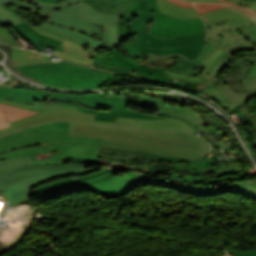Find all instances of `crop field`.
<instances>
[{"mask_svg":"<svg viewBox=\"0 0 256 256\" xmlns=\"http://www.w3.org/2000/svg\"><path fill=\"white\" fill-rule=\"evenodd\" d=\"M1 6H3L5 9H7L8 11H10L12 14H14L15 16H17L18 18H20L22 21H27L24 17H22L19 13H17L16 11L12 10L11 8H9L8 6H6L5 4H2Z\"/></svg>","mask_w":256,"mask_h":256,"instance_id":"59","label":"crop field"},{"mask_svg":"<svg viewBox=\"0 0 256 256\" xmlns=\"http://www.w3.org/2000/svg\"><path fill=\"white\" fill-rule=\"evenodd\" d=\"M177 58L180 61L181 65L185 67H190V68L201 67V61H188L187 59L181 56H177Z\"/></svg>","mask_w":256,"mask_h":256,"instance_id":"51","label":"crop field"},{"mask_svg":"<svg viewBox=\"0 0 256 256\" xmlns=\"http://www.w3.org/2000/svg\"><path fill=\"white\" fill-rule=\"evenodd\" d=\"M241 85L243 86L241 91H256V78L242 80Z\"/></svg>","mask_w":256,"mask_h":256,"instance_id":"49","label":"crop field"},{"mask_svg":"<svg viewBox=\"0 0 256 256\" xmlns=\"http://www.w3.org/2000/svg\"><path fill=\"white\" fill-rule=\"evenodd\" d=\"M234 113H235L236 117H238V118L241 117L242 119H244L248 122H251V120L247 119L246 116L241 112L240 108L235 109Z\"/></svg>","mask_w":256,"mask_h":256,"instance_id":"60","label":"crop field"},{"mask_svg":"<svg viewBox=\"0 0 256 256\" xmlns=\"http://www.w3.org/2000/svg\"><path fill=\"white\" fill-rule=\"evenodd\" d=\"M142 173H147L154 176L156 175V172H152V171H143Z\"/></svg>","mask_w":256,"mask_h":256,"instance_id":"66","label":"crop field"},{"mask_svg":"<svg viewBox=\"0 0 256 256\" xmlns=\"http://www.w3.org/2000/svg\"><path fill=\"white\" fill-rule=\"evenodd\" d=\"M228 251H230L235 256H256V251L246 252V253L239 252V251H234V250H230V249Z\"/></svg>","mask_w":256,"mask_h":256,"instance_id":"57","label":"crop field"},{"mask_svg":"<svg viewBox=\"0 0 256 256\" xmlns=\"http://www.w3.org/2000/svg\"><path fill=\"white\" fill-rule=\"evenodd\" d=\"M139 65L144 66V67H147V68L152 69V70H154V71H156V72H158V73H160V74L165 75V74L163 73L164 69H162V68L153 67V66H149V65H145V64H141V63H139ZM165 76H167V75H165ZM168 77H170V76H168ZM171 78H172V77H171Z\"/></svg>","mask_w":256,"mask_h":256,"instance_id":"58","label":"crop field"},{"mask_svg":"<svg viewBox=\"0 0 256 256\" xmlns=\"http://www.w3.org/2000/svg\"><path fill=\"white\" fill-rule=\"evenodd\" d=\"M115 122L130 123L129 127L133 128L162 130L186 129L193 132L189 125L178 119L138 113L122 107L119 108Z\"/></svg>","mask_w":256,"mask_h":256,"instance_id":"14","label":"crop field"},{"mask_svg":"<svg viewBox=\"0 0 256 256\" xmlns=\"http://www.w3.org/2000/svg\"><path fill=\"white\" fill-rule=\"evenodd\" d=\"M224 256H232V255L227 252Z\"/></svg>","mask_w":256,"mask_h":256,"instance_id":"67","label":"crop field"},{"mask_svg":"<svg viewBox=\"0 0 256 256\" xmlns=\"http://www.w3.org/2000/svg\"><path fill=\"white\" fill-rule=\"evenodd\" d=\"M183 1H192V2H219L217 0H183Z\"/></svg>","mask_w":256,"mask_h":256,"instance_id":"63","label":"crop field"},{"mask_svg":"<svg viewBox=\"0 0 256 256\" xmlns=\"http://www.w3.org/2000/svg\"><path fill=\"white\" fill-rule=\"evenodd\" d=\"M127 75L133 76V77H137V78H141V79H145V80H149V79H147V78H145V77H143V76H141L139 74L133 73L131 71ZM149 81H152V80H149ZM153 82H155V81H153Z\"/></svg>","mask_w":256,"mask_h":256,"instance_id":"62","label":"crop field"},{"mask_svg":"<svg viewBox=\"0 0 256 256\" xmlns=\"http://www.w3.org/2000/svg\"><path fill=\"white\" fill-rule=\"evenodd\" d=\"M48 94V91L32 92L0 87V98L9 99L26 104H33L34 100L46 102Z\"/></svg>","mask_w":256,"mask_h":256,"instance_id":"24","label":"crop field"},{"mask_svg":"<svg viewBox=\"0 0 256 256\" xmlns=\"http://www.w3.org/2000/svg\"><path fill=\"white\" fill-rule=\"evenodd\" d=\"M100 148L101 147L54 143L23 147L5 152L0 154V159L22 156H31V160L56 158L99 159Z\"/></svg>","mask_w":256,"mask_h":256,"instance_id":"10","label":"crop field"},{"mask_svg":"<svg viewBox=\"0 0 256 256\" xmlns=\"http://www.w3.org/2000/svg\"><path fill=\"white\" fill-rule=\"evenodd\" d=\"M252 122H253V124H254V130H255V132H256V118L253 119ZM255 146H256V145H253V146L250 148V150H251L252 148H254Z\"/></svg>","mask_w":256,"mask_h":256,"instance_id":"64","label":"crop field"},{"mask_svg":"<svg viewBox=\"0 0 256 256\" xmlns=\"http://www.w3.org/2000/svg\"><path fill=\"white\" fill-rule=\"evenodd\" d=\"M48 99L70 103H80L86 107H92L101 110H109L111 105L127 107L128 104V100L98 93L84 96H76L70 94H60L51 92Z\"/></svg>","mask_w":256,"mask_h":256,"instance_id":"18","label":"crop field"},{"mask_svg":"<svg viewBox=\"0 0 256 256\" xmlns=\"http://www.w3.org/2000/svg\"><path fill=\"white\" fill-rule=\"evenodd\" d=\"M250 68L247 67H242L241 71H243L241 78H234V77H229L227 83H229L231 89H233L235 92L239 93L242 86L240 85L241 79H245L247 76L248 71ZM226 83V84H227Z\"/></svg>","mask_w":256,"mask_h":256,"instance_id":"43","label":"crop field"},{"mask_svg":"<svg viewBox=\"0 0 256 256\" xmlns=\"http://www.w3.org/2000/svg\"><path fill=\"white\" fill-rule=\"evenodd\" d=\"M177 55L169 56L166 58H161V59H143L141 63L149 64V65H154L162 68H169L172 65L178 63V60L176 58Z\"/></svg>","mask_w":256,"mask_h":256,"instance_id":"39","label":"crop field"},{"mask_svg":"<svg viewBox=\"0 0 256 256\" xmlns=\"http://www.w3.org/2000/svg\"><path fill=\"white\" fill-rule=\"evenodd\" d=\"M237 123V122H236ZM240 123H237V129L239 130L240 132V135L242 136L243 140L245 141V143L247 144L248 148L251 147L252 144H250L248 142V139L250 138V135L247 134L244 130L240 129Z\"/></svg>","mask_w":256,"mask_h":256,"instance_id":"55","label":"crop field"},{"mask_svg":"<svg viewBox=\"0 0 256 256\" xmlns=\"http://www.w3.org/2000/svg\"><path fill=\"white\" fill-rule=\"evenodd\" d=\"M119 107H111L110 111L97 110L95 120L114 122Z\"/></svg>","mask_w":256,"mask_h":256,"instance_id":"42","label":"crop field"},{"mask_svg":"<svg viewBox=\"0 0 256 256\" xmlns=\"http://www.w3.org/2000/svg\"><path fill=\"white\" fill-rule=\"evenodd\" d=\"M124 49L127 51L129 54L133 56H140V57H146L144 56L143 53L139 52L132 44L131 42L124 43Z\"/></svg>","mask_w":256,"mask_h":256,"instance_id":"52","label":"crop field"},{"mask_svg":"<svg viewBox=\"0 0 256 256\" xmlns=\"http://www.w3.org/2000/svg\"><path fill=\"white\" fill-rule=\"evenodd\" d=\"M181 88H185V89L197 91V92H200V93H203V94H204L203 90H196V89H193V88H186V87H181Z\"/></svg>","mask_w":256,"mask_h":256,"instance_id":"65","label":"crop field"},{"mask_svg":"<svg viewBox=\"0 0 256 256\" xmlns=\"http://www.w3.org/2000/svg\"><path fill=\"white\" fill-rule=\"evenodd\" d=\"M241 176V175H240ZM240 176H238V177H240Z\"/></svg>","mask_w":256,"mask_h":256,"instance_id":"68","label":"crop field"},{"mask_svg":"<svg viewBox=\"0 0 256 256\" xmlns=\"http://www.w3.org/2000/svg\"><path fill=\"white\" fill-rule=\"evenodd\" d=\"M249 58H251L253 61H256V51L237 53L230 58L226 66H229L234 60L241 61Z\"/></svg>","mask_w":256,"mask_h":256,"instance_id":"45","label":"crop field"},{"mask_svg":"<svg viewBox=\"0 0 256 256\" xmlns=\"http://www.w3.org/2000/svg\"><path fill=\"white\" fill-rule=\"evenodd\" d=\"M176 4H179L181 6H188V7H194V5L192 3H185L183 1H179V0H170Z\"/></svg>","mask_w":256,"mask_h":256,"instance_id":"61","label":"crop field"},{"mask_svg":"<svg viewBox=\"0 0 256 256\" xmlns=\"http://www.w3.org/2000/svg\"><path fill=\"white\" fill-rule=\"evenodd\" d=\"M145 184H157V185L173 188L176 190H180L183 192H187L194 195H200V196L216 195V194L225 192V188L213 190L212 185L202 186V185L183 184V183L164 180L160 178H150L138 186L145 185Z\"/></svg>","mask_w":256,"mask_h":256,"instance_id":"21","label":"crop field"},{"mask_svg":"<svg viewBox=\"0 0 256 256\" xmlns=\"http://www.w3.org/2000/svg\"><path fill=\"white\" fill-rule=\"evenodd\" d=\"M137 157H143L145 159H163L167 161H183V160H189V159H180V158H174V157H164V156H158V155H151V154H145L142 153L141 156Z\"/></svg>","mask_w":256,"mask_h":256,"instance_id":"50","label":"crop field"},{"mask_svg":"<svg viewBox=\"0 0 256 256\" xmlns=\"http://www.w3.org/2000/svg\"><path fill=\"white\" fill-rule=\"evenodd\" d=\"M20 23L23 22L0 6V25L10 26Z\"/></svg>","mask_w":256,"mask_h":256,"instance_id":"40","label":"crop field"},{"mask_svg":"<svg viewBox=\"0 0 256 256\" xmlns=\"http://www.w3.org/2000/svg\"><path fill=\"white\" fill-rule=\"evenodd\" d=\"M120 17V14L96 12L86 2H76L65 9L52 10L47 21L99 37L101 35L100 28L93 23L115 24Z\"/></svg>","mask_w":256,"mask_h":256,"instance_id":"7","label":"crop field"},{"mask_svg":"<svg viewBox=\"0 0 256 256\" xmlns=\"http://www.w3.org/2000/svg\"><path fill=\"white\" fill-rule=\"evenodd\" d=\"M0 103L40 112L38 114L31 115V116L10 122L9 124L11 126L0 129V136L28 127V126L40 124V123L51 121V120H71V121H77V122L115 125V126H124V127H128L129 125V124L94 121L96 116L95 114H86V113L76 112L72 110L45 108V107H39L35 105H26V104L17 103V102L8 101V100H2V99H0Z\"/></svg>","mask_w":256,"mask_h":256,"instance_id":"9","label":"crop field"},{"mask_svg":"<svg viewBox=\"0 0 256 256\" xmlns=\"http://www.w3.org/2000/svg\"><path fill=\"white\" fill-rule=\"evenodd\" d=\"M222 1L223 3L227 4V5H230L238 10H240L241 12L245 13L246 15H248L249 17L253 18L254 20H256V11L249 8V7H242V6H239V5H236L230 1H227V0H220Z\"/></svg>","mask_w":256,"mask_h":256,"instance_id":"48","label":"crop field"},{"mask_svg":"<svg viewBox=\"0 0 256 256\" xmlns=\"http://www.w3.org/2000/svg\"><path fill=\"white\" fill-rule=\"evenodd\" d=\"M168 70H171L175 73L185 74V75H200L201 73V68L189 69V68L182 67L179 63L169 68Z\"/></svg>","mask_w":256,"mask_h":256,"instance_id":"44","label":"crop field"},{"mask_svg":"<svg viewBox=\"0 0 256 256\" xmlns=\"http://www.w3.org/2000/svg\"><path fill=\"white\" fill-rule=\"evenodd\" d=\"M32 164H62L64 165V160H43V161H31Z\"/></svg>","mask_w":256,"mask_h":256,"instance_id":"56","label":"crop field"},{"mask_svg":"<svg viewBox=\"0 0 256 256\" xmlns=\"http://www.w3.org/2000/svg\"><path fill=\"white\" fill-rule=\"evenodd\" d=\"M205 93L208 94L218 105L226 112L233 113L236 107H240L242 112L251 120L255 117L248 105L247 101L250 97L256 96V92H241L236 94L232 91L229 85L209 86L205 88ZM228 107L230 110H228Z\"/></svg>","mask_w":256,"mask_h":256,"instance_id":"15","label":"crop field"},{"mask_svg":"<svg viewBox=\"0 0 256 256\" xmlns=\"http://www.w3.org/2000/svg\"><path fill=\"white\" fill-rule=\"evenodd\" d=\"M70 122H49L0 138V153L23 146L53 142L101 146L103 139L67 136Z\"/></svg>","mask_w":256,"mask_h":256,"instance_id":"6","label":"crop field"},{"mask_svg":"<svg viewBox=\"0 0 256 256\" xmlns=\"http://www.w3.org/2000/svg\"><path fill=\"white\" fill-rule=\"evenodd\" d=\"M154 13L153 22L160 21L169 16L179 19L199 17L195 8L180 7L169 0H145Z\"/></svg>","mask_w":256,"mask_h":256,"instance_id":"19","label":"crop field"},{"mask_svg":"<svg viewBox=\"0 0 256 256\" xmlns=\"http://www.w3.org/2000/svg\"><path fill=\"white\" fill-rule=\"evenodd\" d=\"M242 6H250L256 10V1H245V0H230Z\"/></svg>","mask_w":256,"mask_h":256,"instance_id":"54","label":"crop field"},{"mask_svg":"<svg viewBox=\"0 0 256 256\" xmlns=\"http://www.w3.org/2000/svg\"><path fill=\"white\" fill-rule=\"evenodd\" d=\"M253 61L245 60L241 62L234 61L229 67L226 68L225 71L222 72L221 76H219L213 85L225 84L228 76L240 77L242 72H239L242 66L251 67L253 65Z\"/></svg>","mask_w":256,"mask_h":256,"instance_id":"29","label":"crop field"},{"mask_svg":"<svg viewBox=\"0 0 256 256\" xmlns=\"http://www.w3.org/2000/svg\"><path fill=\"white\" fill-rule=\"evenodd\" d=\"M0 42L21 47L12 34L4 28H0Z\"/></svg>","mask_w":256,"mask_h":256,"instance_id":"46","label":"crop field"},{"mask_svg":"<svg viewBox=\"0 0 256 256\" xmlns=\"http://www.w3.org/2000/svg\"><path fill=\"white\" fill-rule=\"evenodd\" d=\"M199 13H205V12H209L215 9H219V8H223V7H227L224 6L222 4H213V3H195Z\"/></svg>","mask_w":256,"mask_h":256,"instance_id":"47","label":"crop field"},{"mask_svg":"<svg viewBox=\"0 0 256 256\" xmlns=\"http://www.w3.org/2000/svg\"><path fill=\"white\" fill-rule=\"evenodd\" d=\"M249 29L251 30V32L256 36V24L249 27ZM252 77H256V62L254 63L253 67L251 68V70L249 71L248 74V78H252Z\"/></svg>","mask_w":256,"mask_h":256,"instance_id":"53","label":"crop field"},{"mask_svg":"<svg viewBox=\"0 0 256 256\" xmlns=\"http://www.w3.org/2000/svg\"><path fill=\"white\" fill-rule=\"evenodd\" d=\"M26 1L32 2L36 5H39V6H42L45 8H49V9H60V8H64L65 6H67L71 3H74L76 1H82V0H62L58 3H45V2H39L36 0H26Z\"/></svg>","mask_w":256,"mask_h":256,"instance_id":"41","label":"crop field"},{"mask_svg":"<svg viewBox=\"0 0 256 256\" xmlns=\"http://www.w3.org/2000/svg\"><path fill=\"white\" fill-rule=\"evenodd\" d=\"M126 173L122 176H114L113 170H108L107 167L89 176H79L78 179H61L43 184L29 190V196L57 187L61 195L84 189L104 197L115 198L128 193L138 183L150 177L133 171H126Z\"/></svg>","mask_w":256,"mask_h":256,"instance_id":"3","label":"crop field"},{"mask_svg":"<svg viewBox=\"0 0 256 256\" xmlns=\"http://www.w3.org/2000/svg\"><path fill=\"white\" fill-rule=\"evenodd\" d=\"M213 157H208L202 161H193L187 164H172L170 167L175 169L187 170L190 173L205 174L214 168Z\"/></svg>","mask_w":256,"mask_h":256,"instance_id":"27","label":"crop field"},{"mask_svg":"<svg viewBox=\"0 0 256 256\" xmlns=\"http://www.w3.org/2000/svg\"><path fill=\"white\" fill-rule=\"evenodd\" d=\"M14 27L22 37L28 40L39 52L43 53L44 48L47 47L56 49L61 44L59 41L37 33L27 22Z\"/></svg>","mask_w":256,"mask_h":256,"instance_id":"22","label":"crop field"},{"mask_svg":"<svg viewBox=\"0 0 256 256\" xmlns=\"http://www.w3.org/2000/svg\"><path fill=\"white\" fill-rule=\"evenodd\" d=\"M164 72L166 74L174 77L173 79L178 80L177 81L178 83L195 86V87H197V89H203L204 85L207 81L206 79H204L200 76H184V75L175 74L168 70H165Z\"/></svg>","mask_w":256,"mask_h":256,"instance_id":"33","label":"crop field"},{"mask_svg":"<svg viewBox=\"0 0 256 256\" xmlns=\"http://www.w3.org/2000/svg\"><path fill=\"white\" fill-rule=\"evenodd\" d=\"M93 66L99 67L102 69L107 68V70H111V71L118 72L125 75L129 72L128 70L122 68L121 66L107 59L101 58L95 54H94Z\"/></svg>","mask_w":256,"mask_h":256,"instance_id":"36","label":"crop field"},{"mask_svg":"<svg viewBox=\"0 0 256 256\" xmlns=\"http://www.w3.org/2000/svg\"><path fill=\"white\" fill-rule=\"evenodd\" d=\"M201 17L203 18L205 23L228 19V18H232V19H235L237 21H240V22H243V23H246L249 25L256 23L251 18L247 17L246 15H244L230 7L202 14Z\"/></svg>","mask_w":256,"mask_h":256,"instance_id":"25","label":"crop field"},{"mask_svg":"<svg viewBox=\"0 0 256 256\" xmlns=\"http://www.w3.org/2000/svg\"><path fill=\"white\" fill-rule=\"evenodd\" d=\"M104 58H107L129 70H131L133 67H135L139 62L142 61L140 58H132L127 56H123L121 53H119L116 49L113 51H109L104 55Z\"/></svg>","mask_w":256,"mask_h":256,"instance_id":"31","label":"crop field"},{"mask_svg":"<svg viewBox=\"0 0 256 256\" xmlns=\"http://www.w3.org/2000/svg\"><path fill=\"white\" fill-rule=\"evenodd\" d=\"M35 113L37 112L0 104V128L9 126L7 122Z\"/></svg>","mask_w":256,"mask_h":256,"instance_id":"28","label":"crop field"},{"mask_svg":"<svg viewBox=\"0 0 256 256\" xmlns=\"http://www.w3.org/2000/svg\"><path fill=\"white\" fill-rule=\"evenodd\" d=\"M85 165H31L30 157L12 158L0 161V190L11 205L22 200L29 201V188L52 178L70 174H84L99 168L84 169ZM103 168V167H102Z\"/></svg>","mask_w":256,"mask_h":256,"instance_id":"2","label":"crop field"},{"mask_svg":"<svg viewBox=\"0 0 256 256\" xmlns=\"http://www.w3.org/2000/svg\"><path fill=\"white\" fill-rule=\"evenodd\" d=\"M30 24V23H29ZM37 32L54 38L63 42L53 53L51 56L90 65L92 61V51H86L85 46L74 42L68 38H65L61 35L55 34L48 30L42 29L40 27H36L30 24Z\"/></svg>","mask_w":256,"mask_h":256,"instance_id":"17","label":"crop field"},{"mask_svg":"<svg viewBox=\"0 0 256 256\" xmlns=\"http://www.w3.org/2000/svg\"><path fill=\"white\" fill-rule=\"evenodd\" d=\"M131 71L139 73L143 76H146L150 79L155 80L156 82L163 83L169 85L173 79L165 77L163 75H160L152 70H149L147 68L141 67L137 65L135 68H133Z\"/></svg>","mask_w":256,"mask_h":256,"instance_id":"37","label":"crop field"},{"mask_svg":"<svg viewBox=\"0 0 256 256\" xmlns=\"http://www.w3.org/2000/svg\"><path fill=\"white\" fill-rule=\"evenodd\" d=\"M17 70L41 82L61 87L96 88L104 80L115 76L66 61L17 67Z\"/></svg>","mask_w":256,"mask_h":256,"instance_id":"5","label":"crop field"},{"mask_svg":"<svg viewBox=\"0 0 256 256\" xmlns=\"http://www.w3.org/2000/svg\"><path fill=\"white\" fill-rule=\"evenodd\" d=\"M68 135L104 138L105 147L164 156L196 159L209 152L207 142L180 130L148 131L71 122Z\"/></svg>","mask_w":256,"mask_h":256,"instance_id":"1","label":"crop field"},{"mask_svg":"<svg viewBox=\"0 0 256 256\" xmlns=\"http://www.w3.org/2000/svg\"><path fill=\"white\" fill-rule=\"evenodd\" d=\"M2 3H9L11 5L24 8L26 10L32 11L34 13H37V14H40V15H43V16H46V17L49 16L50 11H51L49 9H45V8L36 6L34 4H31V3L23 1V0H0V5Z\"/></svg>","mask_w":256,"mask_h":256,"instance_id":"34","label":"crop field"},{"mask_svg":"<svg viewBox=\"0 0 256 256\" xmlns=\"http://www.w3.org/2000/svg\"><path fill=\"white\" fill-rule=\"evenodd\" d=\"M205 30L201 18L190 20H178L169 17L154 23L150 34L159 39H174V35H187Z\"/></svg>","mask_w":256,"mask_h":256,"instance_id":"16","label":"crop field"},{"mask_svg":"<svg viewBox=\"0 0 256 256\" xmlns=\"http://www.w3.org/2000/svg\"><path fill=\"white\" fill-rule=\"evenodd\" d=\"M198 126L200 127L201 131H203L211 141L210 144L218 154L219 158L221 155L220 148H223L224 153L233 151L236 156V157L228 158L229 160L225 161V156L223 154V158L221 160L225 162L221 164V166H219V169L217 168L213 169L215 174L218 176L225 173L239 172V168L236 162L246 163V161L238 145L236 144L234 138L232 137L230 131L228 130L227 126L225 124L214 125V126H204L203 122L198 123ZM215 158L216 160H218L216 155H215Z\"/></svg>","mask_w":256,"mask_h":256,"instance_id":"12","label":"crop field"},{"mask_svg":"<svg viewBox=\"0 0 256 256\" xmlns=\"http://www.w3.org/2000/svg\"><path fill=\"white\" fill-rule=\"evenodd\" d=\"M117 97L130 100V104L159 111L158 115H166L185 121L191 127L196 126L197 122L203 120L205 125L222 124L223 121L210 111L188 101L187 107L180 108L173 105L164 104V100L153 96L139 93H126Z\"/></svg>","mask_w":256,"mask_h":256,"instance_id":"8","label":"crop field"},{"mask_svg":"<svg viewBox=\"0 0 256 256\" xmlns=\"http://www.w3.org/2000/svg\"><path fill=\"white\" fill-rule=\"evenodd\" d=\"M205 34L206 30L188 36H175V40H159L149 33H145V39L151 48L183 47L205 43Z\"/></svg>","mask_w":256,"mask_h":256,"instance_id":"20","label":"crop field"},{"mask_svg":"<svg viewBox=\"0 0 256 256\" xmlns=\"http://www.w3.org/2000/svg\"><path fill=\"white\" fill-rule=\"evenodd\" d=\"M226 192H236L256 200V180L235 182L232 188H226Z\"/></svg>","mask_w":256,"mask_h":256,"instance_id":"30","label":"crop field"},{"mask_svg":"<svg viewBox=\"0 0 256 256\" xmlns=\"http://www.w3.org/2000/svg\"><path fill=\"white\" fill-rule=\"evenodd\" d=\"M143 18H136L130 24V40L133 45L148 57H162L172 54H180L188 59L194 60L198 57L203 45L183 47V48H166V49H150L144 40V31L149 20H152L153 13L150 7L143 0H138Z\"/></svg>","mask_w":256,"mask_h":256,"instance_id":"11","label":"crop field"},{"mask_svg":"<svg viewBox=\"0 0 256 256\" xmlns=\"http://www.w3.org/2000/svg\"><path fill=\"white\" fill-rule=\"evenodd\" d=\"M34 104L39 106H45V107L72 109V110L86 112V113H96V110L91 108H86L80 104H70V103H64V102H58V101L56 102V104L40 103L35 101Z\"/></svg>","mask_w":256,"mask_h":256,"instance_id":"38","label":"crop field"},{"mask_svg":"<svg viewBox=\"0 0 256 256\" xmlns=\"http://www.w3.org/2000/svg\"><path fill=\"white\" fill-rule=\"evenodd\" d=\"M233 25V26H237L242 28L240 31L241 33L246 36L250 42H252L255 46H256V42L254 40H256V38L254 37V35L249 31V29L247 27H249V25L234 21L232 19H228V20H223V21H218V22H213V23H208L206 24L208 27V31L220 26V25Z\"/></svg>","mask_w":256,"mask_h":256,"instance_id":"32","label":"crop field"},{"mask_svg":"<svg viewBox=\"0 0 256 256\" xmlns=\"http://www.w3.org/2000/svg\"><path fill=\"white\" fill-rule=\"evenodd\" d=\"M92 5L97 11L121 13L122 18L116 23L118 29V45L121 40L129 38V24L136 18L142 17L137 0H83Z\"/></svg>","mask_w":256,"mask_h":256,"instance_id":"13","label":"crop field"},{"mask_svg":"<svg viewBox=\"0 0 256 256\" xmlns=\"http://www.w3.org/2000/svg\"><path fill=\"white\" fill-rule=\"evenodd\" d=\"M239 30L240 28L226 25L208 33L207 45L197 59L202 60L201 76L209 79L206 86L213 84L212 79L221 74L231 55L241 51L256 50V47Z\"/></svg>","mask_w":256,"mask_h":256,"instance_id":"4","label":"crop field"},{"mask_svg":"<svg viewBox=\"0 0 256 256\" xmlns=\"http://www.w3.org/2000/svg\"><path fill=\"white\" fill-rule=\"evenodd\" d=\"M40 25L47 29H50L56 33H59L63 36H66L70 39H73L79 43H82L86 46L94 47V48H101V49L105 48V44L102 41H100L98 38L96 39L92 36L86 35L83 32L71 30L69 28L54 25V24L48 23V22H43Z\"/></svg>","mask_w":256,"mask_h":256,"instance_id":"23","label":"crop field"},{"mask_svg":"<svg viewBox=\"0 0 256 256\" xmlns=\"http://www.w3.org/2000/svg\"><path fill=\"white\" fill-rule=\"evenodd\" d=\"M11 57L15 64L18 66L44 63L47 62V60L49 59V56L41 55L15 47L13 48Z\"/></svg>","mask_w":256,"mask_h":256,"instance_id":"26","label":"crop field"},{"mask_svg":"<svg viewBox=\"0 0 256 256\" xmlns=\"http://www.w3.org/2000/svg\"><path fill=\"white\" fill-rule=\"evenodd\" d=\"M98 25V24H97ZM101 27L102 36L100 39L108 46L117 47V27L116 25H98Z\"/></svg>","mask_w":256,"mask_h":256,"instance_id":"35","label":"crop field"}]
</instances>
